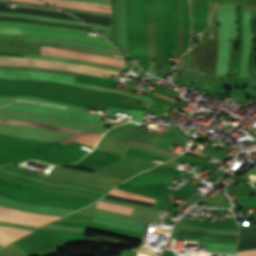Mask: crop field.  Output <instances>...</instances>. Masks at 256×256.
I'll list each match as a JSON object with an SVG mask.
<instances>
[{"label":"crop field","mask_w":256,"mask_h":256,"mask_svg":"<svg viewBox=\"0 0 256 256\" xmlns=\"http://www.w3.org/2000/svg\"><path fill=\"white\" fill-rule=\"evenodd\" d=\"M0 64L38 66V67L51 68V69L84 72V73L97 75V76H102L103 73L114 74V75L118 74L117 71H111V70L87 67V66H81V65H74V64H66V63H60V62L50 61V60H41V59H25V58L0 56ZM103 77H108V75L104 74Z\"/></svg>","instance_id":"crop-field-1"},{"label":"crop field","mask_w":256,"mask_h":256,"mask_svg":"<svg viewBox=\"0 0 256 256\" xmlns=\"http://www.w3.org/2000/svg\"><path fill=\"white\" fill-rule=\"evenodd\" d=\"M0 34H19V35H34V36L61 38V39L82 41V42H87L95 45L116 49L105 39L83 36L78 34L44 31V30L27 29V28H16V27H0Z\"/></svg>","instance_id":"crop-field-2"},{"label":"crop field","mask_w":256,"mask_h":256,"mask_svg":"<svg viewBox=\"0 0 256 256\" xmlns=\"http://www.w3.org/2000/svg\"><path fill=\"white\" fill-rule=\"evenodd\" d=\"M0 123L49 128V129H55V130H60V131H65V132L77 134L75 136H71V137H68V138H65V139L61 140V142L64 145L69 143V142L75 141V142H78V143H82V144L94 147L96 142L98 141V139L101 136L99 134L87 133V132H82V131H77V130H72V129H67V128H61V127H55V126L38 124V123H31V122L14 121V120H0Z\"/></svg>","instance_id":"crop-field-3"},{"label":"crop field","mask_w":256,"mask_h":256,"mask_svg":"<svg viewBox=\"0 0 256 256\" xmlns=\"http://www.w3.org/2000/svg\"><path fill=\"white\" fill-rule=\"evenodd\" d=\"M57 217L41 216L23 211L0 207V221L15 222L39 227Z\"/></svg>","instance_id":"crop-field-4"},{"label":"crop field","mask_w":256,"mask_h":256,"mask_svg":"<svg viewBox=\"0 0 256 256\" xmlns=\"http://www.w3.org/2000/svg\"><path fill=\"white\" fill-rule=\"evenodd\" d=\"M41 55L67 56V57L77 58L81 60L107 63V64L119 66V67H121L124 62V60H119V59L110 58V57H102V56L81 53V52L58 50V49H51V48H45V47H41Z\"/></svg>","instance_id":"crop-field-5"},{"label":"crop field","mask_w":256,"mask_h":256,"mask_svg":"<svg viewBox=\"0 0 256 256\" xmlns=\"http://www.w3.org/2000/svg\"><path fill=\"white\" fill-rule=\"evenodd\" d=\"M0 25L20 26V27H29V28H38V29L56 30V31H67V32H74V33H80V34H85V35H87V33H88V31H84V30L68 29V28H61V27H54V26H44V25L22 23V22L0 21Z\"/></svg>","instance_id":"crop-field-6"},{"label":"crop field","mask_w":256,"mask_h":256,"mask_svg":"<svg viewBox=\"0 0 256 256\" xmlns=\"http://www.w3.org/2000/svg\"><path fill=\"white\" fill-rule=\"evenodd\" d=\"M29 232L30 231H24V230H19V229H15V228L0 227V236L5 238L9 242H11Z\"/></svg>","instance_id":"crop-field-7"},{"label":"crop field","mask_w":256,"mask_h":256,"mask_svg":"<svg viewBox=\"0 0 256 256\" xmlns=\"http://www.w3.org/2000/svg\"><path fill=\"white\" fill-rule=\"evenodd\" d=\"M97 207L126 214H131V211L133 209L130 207L117 206L103 202H98Z\"/></svg>","instance_id":"crop-field-8"},{"label":"crop field","mask_w":256,"mask_h":256,"mask_svg":"<svg viewBox=\"0 0 256 256\" xmlns=\"http://www.w3.org/2000/svg\"><path fill=\"white\" fill-rule=\"evenodd\" d=\"M110 193L118 195V196L130 198V199L142 200V201H147V202H151V203L154 202V199L144 197V196H140V195H136V194L129 193V192H125V191H121V190H117V189H114Z\"/></svg>","instance_id":"crop-field-9"},{"label":"crop field","mask_w":256,"mask_h":256,"mask_svg":"<svg viewBox=\"0 0 256 256\" xmlns=\"http://www.w3.org/2000/svg\"><path fill=\"white\" fill-rule=\"evenodd\" d=\"M47 3L52 4V5H57V6L68 7V8H76V9H84V10H92V11H98V12H104V13H111V10H106V9L96 8V7L78 6V5H70V4L54 3V2H47Z\"/></svg>","instance_id":"crop-field-10"},{"label":"crop field","mask_w":256,"mask_h":256,"mask_svg":"<svg viewBox=\"0 0 256 256\" xmlns=\"http://www.w3.org/2000/svg\"><path fill=\"white\" fill-rule=\"evenodd\" d=\"M50 1L64 2V3H71V4L90 5V6H96V7H103V8H110L111 9V6L105 5V4H94V3H89V2L70 1V0H50Z\"/></svg>","instance_id":"crop-field-11"},{"label":"crop field","mask_w":256,"mask_h":256,"mask_svg":"<svg viewBox=\"0 0 256 256\" xmlns=\"http://www.w3.org/2000/svg\"><path fill=\"white\" fill-rule=\"evenodd\" d=\"M42 227L52 228V229H59V230L83 231V232H85V230H86V229H81V228L61 227V226H52V225H45V226H42Z\"/></svg>","instance_id":"crop-field-12"},{"label":"crop field","mask_w":256,"mask_h":256,"mask_svg":"<svg viewBox=\"0 0 256 256\" xmlns=\"http://www.w3.org/2000/svg\"><path fill=\"white\" fill-rule=\"evenodd\" d=\"M238 256H256V249L240 251V252H238Z\"/></svg>","instance_id":"crop-field-13"},{"label":"crop field","mask_w":256,"mask_h":256,"mask_svg":"<svg viewBox=\"0 0 256 256\" xmlns=\"http://www.w3.org/2000/svg\"><path fill=\"white\" fill-rule=\"evenodd\" d=\"M81 1H90V2H95V3H105L111 5L112 0H81Z\"/></svg>","instance_id":"crop-field-14"},{"label":"crop field","mask_w":256,"mask_h":256,"mask_svg":"<svg viewBox=\"0 0 256 256\" xmlns=\"http://www.w3.org/2000/svg\"><path fill=\"white\" fill-rule=\"evenodd\" d=\"M15 1H22V2H34V3H38V4H44L38 0H15Z\"/></svg>","instance_id":"crop-field-15"},{"label":"crop field","mask_w":256,"mask_h":256,"mask_svg":"<svg viewBox=\"0 0 256 256\" xmlns=\"http://www.w3.org/2000/svg\"><path fill=\"white\" fill-rule=\"evenodd\" d=\"M0 244H2L3 246L9 244L8 242H6L3 238L0 237Z\"/></svg>","instance_id":"crop-field-16"},{"label":"crop field","mask_w":256,"mask_h":256,"mask_svg":"<svg viewBox=\"0 0 256 256\" xmlns=\"http://www.w3.org/2000/svg\"><path fill=\"white\" fill-rule=\"evenodd\" d=\"M181 230H184V229H181ZM184 231H191V230H184ZM192 232L207 233V232H201V231H192Z\"/></svg>","instance_id":"crop-field-17"}]
</instances>
